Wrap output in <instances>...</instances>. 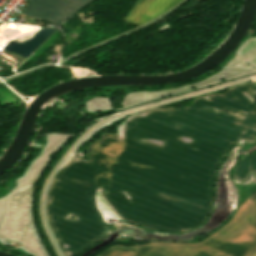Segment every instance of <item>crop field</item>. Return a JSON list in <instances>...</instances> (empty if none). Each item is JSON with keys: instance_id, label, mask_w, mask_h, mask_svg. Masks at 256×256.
Masks as SVG:
<instances>
[{"instance_id": "crop-field-1", "label": "crop field", "mask_w": 256, "mask_h": 256, "mask_svg": "<svg viewBox=\"0 0 256 256\" xmlns=\"http://www.w3.org/2000/svg\"><path fill=\"white\" fill-rule=\"evenodd\" d=\"M91 1L92 0H31L23 14L60 24L67 17Z\"/></svg>"}, {"instance_id": "crop-field-2", "label": "crop field", "mask_w": 256, "mask_h": 256, "mask_svg": "<svg viewBox=\"0 0 256 256\" xmlns=\"http://www.w3.org/2000/svg\"><path fill=\"white\" fill-rule=\"evenodd\" d=\"M181 0H139L125 20L141 25L165 12Z\"/></svg>"}]
</instances>
